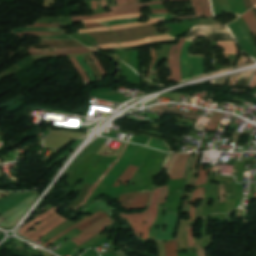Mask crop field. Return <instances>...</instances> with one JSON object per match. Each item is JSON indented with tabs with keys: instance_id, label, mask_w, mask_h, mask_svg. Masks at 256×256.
Returning a JSON list of instances; mask_svg holds the SVG:
<instances>
[{
	"instance_id": "0fb4a251",
	"label": "crop field",
	"mask_w": 256,
	"mask_h": 256,
	"mask_svg": "<svg viewBox=\"0 0 256 256\" xmlns=\"http://www.w3.org/2000/svg\"><path fill=\"white\" fill-rule=\"evenodd\" d=\"M189 247L193 246L192 227L188 228Z\"/></svg>"
},
{
	"instance_id": "1f1604b0",
	"label": "crop field",
	"mask_w": 256,
	"mask_h": 256,
	"mask_svg": "<svg viewBox=\"0 0 256 256\" xmlns=\"http://www.w3.org/2000/svg\"><path fill=\"white\" fill-rule=\"evenodd\" d=\"M153 1V0H152Z\"/></svg>"
},
{
	"instance_id": "25e5ab78",
	"label": "crop field",
	"mask_w": 256,
	"mask_h": 256,
	"mask_svg": "<svg viewBox=\"0 0 256 256\" xmlns=\"http://www.w3.org/2000/svg\"><path fill=\"white\" fill-rule=\"evenodd\" d=\"M59 23L54 24H34L33 26H26V27H58Z\"/></svg>"
},
{
	"instance_id": "120bbe31",
	"label": "crop field",
	"mask_w": 256,
	"mask_h": 256,
	"mask_svg": "<svg viewBox=\"0 0 256 256\" xmlns=\"http://www.w3.org/2000/svg\"><path fill=\"white\" fill-rule=\"evenodd\" d=\"M70 60L73 63V65L75 66V68L77 69V71L79 72V74L81 75L82 81H83L84 85L90 83L88 76L83 71L81 66L78 64V62L76 61L75 57H71Z\"/></svg>"
},
{
	"instance_id": "dafd665d",
	"label": "crop field",
	"mask_w": 256,
	"mask_h": 256,
	"mask_svg": "<svg viewBox=\"0 0 256 256\" xmlns=\"http://www.w3.org/2000/svg\"><path fill=\"white\" fill-rule=\"evenodd\" d=\"M59 216L58 213H55L53 215H51L49 218L45 219L44 221H42L39 225H35V231H28L26 232L23 236L25 237H30L32 236L33 234H35L37 231H39L41 228H43L44 226L48 225L49 223L53 222L55 219H57Z\"/></svg>"
},
{
	"instance_id": "eef30255",
	"label": "crop field",
	"mask_w": 256,
	"mask_h": 256,
	"mask_svg": "<svg viewBox=\"0 0 256 256\" xmlns=\"http://www.w3.org/2000/svg\"><path fill=\"white\" fill-rule=\"evenodd\" d=\"M195 198L204 199V187L196 189L194 194H193L192 204L190 206L189 221H194L195 208L192 207V205H193V202H194Z\"/></svg>"
},
{
	"instance_id": "733c2abd",
	"label": "crop field",
	"mask_w": 256,
	"mask_h": 256,
	"mask_svg": "<svg viewBox=\"0 0 256 256\" xmlns=\"http://www.w3.org/2000/svg\"><path fill=\"white\" fill-rule=\"evenodd\" d=\"M136 170L137 167L129 165L126 171L120 175V177L116 180L113 186H119L121 182L127 185Z\"/></svg>"
},
{
	"instance_id": "73cf0c24",
	"label": "crop field",
	"mask_w": 256,
	"mask_h": 256,
	"mask_svg": "<svg viewBox=\"0 0 256 256\" xmlns=\"http://www.w3.org/2000/svg\"><path fill=\"white\" fill-rule=\"evenodd\" d=\"M242 17H243V19L245 20V22L247 23V25L249 26V28L251 29L254 38H256V31H255V29L253 28L252 24H251L250 21L247 19V17L245 16V14H244Z\"/></svg>"
},
{
	"instance_id": "b54c1fbb",
	"label": "crop field",
	"mask_w": 256,
	"mask_h": 256,
	"mask_svg": "<svg viewBox=\"0 0 256 256\" xmlns=\"http://www.w3.org/2000/svg\"><path fill=\"white\" fill-rule=\"evenodd\" d=\"M91 59H93L96 67L99 69V71L101 72L102 76L106 75L105 70L103 69L101 63L98 61V59L95 57V55H90Z\"/></svg>"
},
{
	"instance_id": "7b73153f",
	"label": "crop field",
	"mask_w": 256,
	"mask_h": 256,
	"mask_svg": "<svg viewBox=\"0 0 256 256\" xmlns=\"http://www.w3.org/2000/svg\"><path fill=\"white\" fill-rule=\"evenodd\" d=\"M243 1H244V5H245L246 10L249 9L250 7H252V5L250 3V0H243Z\"/></svg>"
},
{
	"instance_id": "412701ff",
	"label": "crop field",
	"mask_w": 256,
	"mask_h": 256,
	"mask_svg": "<svg viewBox=\"0 0 256 256\" xmlns=\"http://www.w3.org/2000/svg\"><path fill=\"white\" fill-rule=\"evenodd\" d=\"M110 223H112V221L110 220L109 217H107V218L103 219L102 221H100L99 223L91 226L90 228H88L87 230H85L84 232H82L81 234L76 236L75 238H73L71 241L74 244L79 246V245L83 244L84 242H86L87 240H89L90 238H92L93 236L100 233L101 231L105 230L104 227H106Z\"/></svg>"
},
{
	"instance_id": "c39391a2",
	"label": "crop field",
	"mask_w": 256,
	"mask_h": 256,
	"mask_svg": "<svg viewBox=\"0 0 256 256\" xmlns=\"http://www.w3.org/2000/svg\"><path fill=\"white\" fill-rule=\"evenodd\" d=\"M101 5H102V8L106 7L105 0H101Z\"/></svg>"
},
{
	"instance_id": "8a807250",
	"label": "crop field",
	"mask_w": 256,
	"mask_h": 256,
	"mask_svg": "<svg viewBox=\"0 0 256 256\" xmlns=\"http://www.w3.org/2000/svg\"><path fill=\"white\" fill-rule=\"evenodd\" d=\"M227 26L231 30L241 51L256 59L254 50H253V46L249 40V37L246 34L245 30L242 28V26L238 23V21L236 20V21L228 24Z\"/></svg>"
},
{
	"instance_id": "db79e9e6",
	"label": "crop field",
	"mask_w": 256,
	"mask_h": 256,
	"mask_svg": "<svg viewBox=\"0 0 256 256\" xmlns=\"http://www.w3.org/2000/svg\"><path fill=\"white\" fill-rule=\"evenodd\" d=\"M149 12L150 13H167L166 9L149 10Z\"/></svg>"
},
{
	"instance_id": "e1d0b9f6",
	"label": "crop field",
	"mask_w": 256,
	"mask_h": 256,
	"mask_svg": "<svg viewBox=\"0 0 256 256\" xmlns=\"http://www.w3.org/2000/svg\"><path fill=\"white\" fill-rule=\"evenodd\" d=\"M92 10L97 9L95 1H91Z\"/></svg>"
},
{
	"instance_id": "e52e79f7",
	"label": "crop field",
	"mask_w": 256,
	"mask_h": 256,
	"mask_svg": "<svg viewBox=\"0 0 256 256\" xmlns=\"http://www.w3.org/2000/svg\"><path fill=\"white\" fill-rule=\"evenodd\" d=\"M160 191H161V187L155 189L151 195L150 205H149V208H150L149 218L147 220V223L143 227L142 236H141V238H143V239H148L149 228L151 227V225L153 224V222L156 218L157 201H158V198L160 195Z\"/></svg>"
},
{
	"instance_id": "00972430",
	"label": "crop field",
	"mask_w": 256,
	"mask_h": 256,
	"mask_svg": "<svg viewBox=\"0 0 256 256\" xmlns=\"http://www.w3.org/2000/svg\"><path fill=\"white\" fill-rule=\"evenodd\" d=\"M29 206H27L26 208L17 212L16 214L12 215L11 217L5 219L2 223H0V227H11V226H13L16 223V221L22 216V214L29 208Z\"/></svg>"
},
{
	"instance_id": "dd49c442",
	"label": "crop field",
	"mask_w": 256,
	"mask_h": 256,
	"mask_svg": "<svg viewBox=\"0 0 256 256\" xmlns=\"http://www.w3.org/2000/svg\"><path fill=\"white\" fill-rule=\"evenodd\" d=\"M45 49V51H41ZM51 48H27L29 54H40V55H52V54H81L87 52H95L91 51L86 47H78V48H55V51H49Z\"/></svg>"
},
{
	"instance_id": "03da06ac",
	"label": "crop field",
	"mask_w": 256,
	"mask_h": 256,
	"mask_svg": "<svg viewBox=\"0 0 256 256\" xmlns=\"http://www.w3.org/2000/svg\"><path fill=\"white\" fill-rule=\"evenodd\" d=\"M137 20H138V18H136V19H129V20H114V21L102 22V24H104L106 26H110V25L120 24V23L135 22Z\"/></svg>"
},
{
	"instance_id": "730fd06b",
	"label": "crop field",
	"mask_w": 256,
	"mask_h": 256,
	"mask_svg": "<svg viewBox=\"0 0 256 256\" xmlns=\"http://www.w3.org/2000/svg\"><path fill=\"white\" fill-rule=\"evenodd\" d=\"M145 146L172 152V150L167 146V144L164 141H161L158 139L149 138V140L146 142Z\"/></svg>"
},
{
	"instance_id": "92a150f3",
	"label": "crop field",
	"mask_w": 256,
	"mask_h": 256,
	"mask_svg": "<svg viewBox=\"0 0 256 256\" xmlns=\"http://www.w3.org/2000/svg\"><path fill=\"white\" fill-rule=\"evenodd\" d=\"M217 46L223 47L224 54H237L239 49L234 41L216 42Z\"/></svg>"
},
{
	"instance_id": "425ffa30",
	"label": "crop field",
	"mask_w": 256,
	"mask_h": 256,
	"mask_svg": "<svg viewBox=\"0 0 256 256\" xmlns=\"http://www.w3.org/2000/svg\"><path fill=\"white\" fill-rule=\"evenodd\" d=\"M155 58H156L155 50H154V48H151V62H150V67H149V72H148L147 78H148L149 75H150V71H151V68H152V65H153V62H154ZM155 61H156V60H155ZM154 63H155V62H154Z\"/></svg>"
},
{
	"instance_id": "d23c7cc5",
	"label": "crop field",
	"mask_w": 256,
	"mask_h": 256,
	"mask_svg": "<svg viewBox=\"0 0 256 256\" xmlns=\"http://www.w3.org/2000/svg\"><path fill=\"white\" fill-rule=\"evenodd\" d=\"M248 19L251 21V23L253 24L254 28L256 29V18L254 17V15L252 14L251 10L245 12Z\"/></svg>"
},
{
	"instance_id": "f0312440",
	"label": "crop field",
	"mask_w": 256,
	"mask_h": 256,
	"mask_svg": "<svg viewBox=\"0 0 256 256\" xmlns=\"http://www.w3.org/2000/svg\"><path fill=\"white\" fill-rule=\"evenodd\" d=\"M254 8L256 9V6Z\"/></svg>"
},
{
	"instance_id": "0765c3eb",
	"label": "crop field",
	"mask_w": 256,
	"mask_h": 256,
	"mask_svg": "<svg viewBox=\"0 0 256 256\" xmlns=\"http://www.w3.org/2000/svg\"><path fill=\"white\" fill-rule=\"evenodd\" d=\"M206 249L198 248L197 255L198 256H205Z\"/></svg>"
},
{
	"instance_id": "0bd39190",
	"label": "crop field",
	"mask_w": 256,
	"mask_h": 256,
	"mask_svg": "<svg viewBox=\"0 0 256 256\" xmlns=\"http://www.w3.org/2000/svg\"><path fill=\"white\" fill-rule=\"evenodd\" d=\"M76 59L79 62V64L82 66L84 71L87 73V75L89 76L91 81L94 82L95 78H94L93 74L91 73V71L89 70L88 66L86 65L85 61L83 60L82 56L76 57Z\"/></svg>"
},
{
	"instance_id": "d8731c3e",
	"label": "crop field",
	"mask_w": 256,
	"mask_h": 256,
	"mask_svg": "<svg viewBox=\"0 0 256 256\" xmlns=\"http://www.w3.org/2000/svg\"><path fill=\"white\" fill-rule=\"evenodd\" d=\"M35 191L26 193H11L0 199V214L17 205L27 197L34 194Z\"/></svg>"
},
{
	"instance_id": "f4fd0767",
	"label": "crop field",
	"mask_w": 256,
	"mask_h": 256,
	"mask_svg": "<svg viewBox=\"0 0 256 256\" xmlns=\"http://www.w3.org/2000/svg\"><path fill=\"white\" fill-rule=\"evenodd\" d=\"M122 219H125L128 225L135 232V237L140 239V234L142 230V225L148 217V210L144 213L138 214H123L119 213ZM144 226V225H143Z\"/></svg>"
},
{
	"instance_id": "cbeb9de0",
	"label": "crop field",
	"mask_w": 256,
	"mask_h": 256,
	"mask_svg": "<svg viewBox=\"0 0 256 256\" xmlns=\"http://www.w3.org/2000/svg\"><path fill=\"white\" fill-rule=\"evenodd\" d=\"M192 79L203 75L204 56H190Z\"/></svg>"
},
{
	"instance_id": "7312dd0a",
	"label": "crop field",
	"mask_w": 256,
	"mask_h": 256,
	"mask_svg": "<svg viewBox=\"0 0 256 256\" xmlns=\"http://www.w3.org/2000/svg\"><path fill=\"white\" fill-rule=\"evenodd\" d=\"M136 3H138V0H135Z\"/></svg>"
},
{
	"instance_id": "89e229c0",
	"label": "crop field",
	"mask_w": 256,
	"mask_h": 256,
	"mask_svg": "<svg viewBox=\"0 0 256 256\" xmlns=\"http://www.w3.org/2000/svg\"><path fill=\"white\" fill-rule=\"evenodd\" d=\"M108 27L98 28V29H89V30H79L80 33L92 32V31H109Z\"/></svg>"
},
{
	"instance_id": "ac0d7876",
	"label": "crop field",
	"mask_w": 256,
	"mask_h": 256,
	"mask_svg": "<svg viewBox=\"0 0 256 256\" xmlns=\"http://www.w3.org/2000/svg\"><path fill=\"white\" fill-rule=\"evenodd\" d=\"M183 38H179L178 46L172 45L169 51L170 81H181L179 53L183 46Z\"/></svg>"
},
{
	"instance_id": "34b2d1b8",
	"label": "crop field",
	"mask_w": 256,
	"mask_h": 256,
	"mask_svg": "<svg viewBox=\"0 0 256 256\" xmlns=\"http://www.w3.org/2000/svg\"><path fill=\"white\" fill-rule=\"evenodd\" d=\"M179 215L175 214H165L156 233L155 239H160V240H169L173 239L177 220H178ZM167 225L165 233L162 231V226Z\"/></svg>"
},
{
	"instance_id": "180be81f",
	"label": "crop field",
	"mask_w": 256,
	"mask_h": 256,
	"mask_svg": "<svg viewBox=\"0 0 256 256\" xmlns=\"http://www.w3.org/2000/svg\"><path fill=\"white\" fill-rule=\"evenodd\" d=\"M254 74H256V70H255Z\"/></svg>"
},
{
	"instance_id": "0f1d7ab4",
	"label": "crop field",
	"mask_w": 256,
	"mask_h": 256,
	"mask_svg": "<svg viewBox=\"0 0 256 256\" xmlns=\"http://www.w3.org/2000/svg\"><path fill=\"white\" fill-rule=\"evenodd\" d=\"M111 3H112V6H113V5H116V4H115V0H111ZM106 4H107V7L111 6L110 0H106Z\"/></svg>"
},
{
	"instance_id": "78b8030e",
	"label": "crop field",
	"mask_w": 256,
	"mask_h": 256,
	"mask_svg": "<svg viewBox=\"0 0 256 256\" xmlns=\"http://www.w3.org/2000/svg\"><path fill=\"white\" fill-rule=\"evenodd\" d=\"M251 87H256V75L253 76V78H252V81H251V84H250V88Z\"/></svg>"
},
{
	"instance_id": "9d1cf04e",
	"label": "crop field",
	"mask_w": 256,
	"mask_h": 256,
	"mask_svg": "<svg viewBox=\"0 0 256 256\" xmlns=\"http://www.w3.org/2000/svg\"><path fill=\"white\" fill-rule=\"evenodd\" d=\"M191 158H192V154H190V156H189V160H188V163L186 165V172H185V176H184V180L183 181H186V179H187V171H188V168L190 166Z\"/></svg>"
},
{
	"instance_id": "3316defc",
	"label": "crop field",
	"mask_w": 256,
	"mask_h": 256,
	"mask_svg": "<svg viewBox=\"0 0 256 256\" xmlns=\"http://www.w3.org/2000/svg\"><path fill=\"white\" fill-rule=\"evenodd\" d=\"M173 37H171L169 34L166 35H160V36H155V37H149V38H145L143 40H139V41H135V42H125V43H119L120 46H132V45H137V44H141V43H148V42H153V41H157V40H164V39H171ZM113 47H119L118 44H107V45H100V46H91V49H107V48H113Z\"/></svg>"
},
{
	"instance_id": "d9b57169",
	"label": "crop field",
	"mask_w": 256,
	"mask_h": 256,
	"mask_svg": "<svg viewBox=\"0 0 256 256\" xmlns=\"http://www.w3.org/2000/svg\"><path fill=\"white\" fill-rule=\"evenodd\" d=\"M66 219H64L62 216L60 218H58L56 221H54L53 223L49 224L48 226L44 227L43 229H41L39 232H37L35 235H33L32 237L28 238L32 241H37L38 239H40L42 236H44L46 233H48L49 231H51L53 228H55L56 226H58L59 224H61L62 222H64Z\"/></svg>"
},
{
	"instance_id": "c3a83c6f",
	"label": "crop field",
	"mask_w": 256,
	"mask_h": 256,
	"mask_svg": "<svg viewBox=\"0 0 256 256\" xmlns=\"http://www.w3.org/2000/svg\"><path fill=\"white\" fill-rule=\"evenodd\" d=\"M251 2H252V5L256 4V0H251Z\"/></svg>"
},
{
	"instance_id": "447ae74e",
	"label": "crop field",
	"mask_w": 256,
	"mask_h": 256,
	"mask_svg": "<svg viewBox=\"0 0 256 256\" xmlns=\"http://www.w3.org/2000/svg\"><path fill=\"white\" fill-rule=\"evenodd\" d=\"M102 25L98 23L86 24L84 28H94V27H101Z\"/></svg>"
},
{
	"instance_id": "5a996713",
	"label": "crop field",
	"mask_w": 256,
	"mask_h": 256,
	"mask_svg": "<svg viewBox=\"0 0 256 256\" xmlns=\"http://www.w3.org/2000/svg\"><path fill=\"white\" fill-rule=\"evenodd\" d=\"M190 40H187L182 48L181 54H180V61H181V79L182 81L190 79L191 74V66L190 61L188 57L190 45Z\"/></svg>"
},
{
	"instance_id": "214f88e0",
	"label": "crop field",
	"mask_w": 256,
	"mask_h": 256,
	"mask_svg": "<svg viewBox=\"0 0 256 256\" xmlns=\"http://www.w3.org/2000/svg\"><path fill=\"white\" fill-rule=\"evenodd\" d=\"M128 145V143H126V145L124 146L123 150L121 151L119 157L117 158V160L97 179V181L93 184L91 190L88 192V194L86 195L84 201L75 209L76 211L79 209L80 206H82L84 204V202L88 199V197L91 195V193L93 192V190L96 188V186L100 183V181L104 178V176L109 172V170L114 166V164L120 159L124 149L126 148V146Z\"/></svg>"
},
{
	"instance_id": "fb207236",
	"label": "crop field",
	"mask_w": 256,
	"mask_h": 256,
	"mask_svg": "<svg viewBox=\"0 0 256 256\" xmlns=\"http://www.w3.org/2000/svg\"><path fill=\"white\" fill-rule=\"evenodd\" d=\"M171 1H188V0H171Z\"/></svg>"
},
{
	"instance_id": "c035e120",
	"label": "crop field",
	"mask_w": 256,
	"mask_h": 256,
	"mask_svg": "<svg viewBox=\"0 0 256 256\" xmlns=\"http://www.w3.org/2000/svg\"><path fill=\"white\" fill-rule=\"evenodd\" d=\"M22 35H65L63 32H23Z\"/></svg>"
},
{
	"instance_id": "1d79db26",
	"label": "crop field",
	"mask_w": 256,
	"mask_h": 256,
	"mask_svg": "<svg viewBox=\"0 0 256 256\" xmlns=\"http://www.w3.org/2000/svg\"><path fill=\"white\" fill-rule=\"evenodd\" d=\"M169 14H150L149 18L169 17Z\"/></svg>"
},
{
	"instance_id": "5866460e",
	"label": "crop field",
	"mask_w": 256,
	"mask_h": 256,
	"mask_svg": "<svg viewBox=\"0 0 256 256\" xmlns=\"http://www.w3.org/2000/svg\"><path fill=\"white\" fill-rule=\"evenodd\" d=\"M83 138L81 139H78L76 140L60 157H58L54 162H52L46 169H50L52 166H54L59 160H61L63 157H65L67 154H69L73 148L82 140Z\"/></svg>"
},
{
	"instance_id": "e1f06a70",
	"label": "crop field",
	"mask_w": 256,
	"mask_h": 256,
	"mask_svg": "<svg viewBox=\"0 0 256 256\" xmlns=\"http://www.w3.org/2000/svg\"><path fill=\"white\" fill-rule=\"evenodd\" d=\"M208 170L209 169L204 170L203 165H199V177L196 185L204 184L206 182Z\"/></svg>"
},
{
	"instance_id": "4177f3b9",
	"label": "crop field",
	"mask_w": 256,
	"mask_h": 256,
	"mask_svg": "<svg viewBox=\"0 0 256 256\" xmlns=\"http://www.w3.org/2000/svg\"><path fill=\"white\" fill-rule=\"evenodd\" d=\"M194 15L179 16L178 18L186 17H204L200 0H190Z\"/></svg>"
},
{
	"instance_id": "d3111659",
	"label": "crop field",
	"mask_w": 256,
	"mask_h": 256,
	"mask_svg": "<svg viewBox=\"0 0 256 256\" xmlns=\"http://www.w3.org/2000/svg\"><path fill=\"white\" fill-rule=\"evenodd\" d=\"M100 211H101V210H100ZM100 211H98L97 213H95V214L92 215V216L87 217V218L84 219L83 221H81V222H79V223H77V224H75V225L69 227L68 229H66L65 231H63L62 233H60L59 235H57L56 237H54V238H52L51 240H49V241H47L46 243H44L42 246H44V247L47 246L48 244H50V243L53 242L54 240L60 238L61 236H63V235L66 234L67 232H69V231H71L72 229H74L76 226H78V225L84 223L85 221L89 220L90 218L96 216L97 214L102 213V212H100Z\"/></svg>"
},
{
	"instance_id": "028f5c9d",
	"label": "crop field",
	"mask_w": 256,
	"mask_h": 256,
	"mask_svg": "<svg viewBox=\"0 0 256 256\" xmlns=\"http://www.w3.org/2000/svg\"><path fill=\"white\" fill-rule=\"evenodd\" d=\"M151 4H163V3H162V1H155V2H149V3L143 4V5H124V6L112 7V8H109V9L111 11H114V10H119V9L143 7V6H147V5H151Z\"/></svg>"
},
{
	"instance_id": "ae1a2a85",
	"label": "crop field",
	"mask_w": 256,
	"mask_h": 256,
	"mask_svg": "<svg viewBox=\"0 0 256 256\" xmlns=\"http://www.w3.org/2000/svg\"><path fill=\"white\" fill-rule=\"evenodd\" d=\"M135 194H136V192L122 194L121 197L119 198V200L117 199L118 200L117 202L123 208H125L127 210V208L129 207L130 203L132 202Z\"/></svg>"
},
{
	"instance_id": "c21b1889",
	"label": "crop field",
	"mask_w": 256,
	"mask_h": 256,
	"mask_svg": "<svg viewBox=\"0 0 256 256\" xmlns=\"http://www.w3.org/2000/svg\"><path fill=\"white\" fill-rule=\"evenodd\" d=\"M205 17H211L209 0H201Z\"/></svg>"
},
{
	"instance_id": "ade564c9",
	"label": "crop field",
	"mask_w": 256,
	"mask_h": 256,
	"mask_svg": "<svg viewBox=\"0 0 256 256\" xmlns=\"http://www.w3.org/2000/svg\"><path fill=\"white\" fill-rule=\"evenodd\" d=\"M126 3L129 4V3H134V0H126Z\"/></svg>"
},
{
	"instance_id": "d32e631a",
	"label": "crop field",
	"mask_w": 256,
	"mask_h": 256,
	"mask_svg": "<svg viewBox=\"0 0 256 256\" xmlns=\"http://www.w3.org/2000/svg\"><path fill=\"white\" fill-rule=\"evenodd\" d=\"M105 217H107V215L104 214V213H102V214H100V215L94 217L93 219L87 221L86 223H84V224L78 226L77 228L82 231V230L86 229L87 227H89V226H91V225H93V224L99 222L100 220H102V219L105 218Z\"/></svg>"
},
{
	"instance_id": "dbb93151",
	"label": "crop field",
	"mask_w": 256,
	"mask_h": 256,
	"mask_svg": "<svg viewBox=\"0 0 256 256\" xmlns=\"http://www.w3.org/2000/svg\"><path fill=\"white\" fill-rule=\"evenodd\" d=\"M177 156V154H173V156L171 157V159L169 160V162L167 163L165 169L167 170V175H169V169L175 159V157Z\"/></svg>"
},
{
	"instance_id": "d1516ede",
	"label": "crop field",
	"mask_w": 256,
	"mask_h": 256,
	"mask_svg": "<svg viewBox=\"0 0 256 256\" xmlns=\"http://www.w3.org/2000/svg\"><path fill=\"white\" fill-rule=\"evenodd\" d=\"M63 205H65V204H63ZM63 205H57V206L49 209L48 211L44 212L43 214L39 215L38 217L32 219L31 221H29L27 224H25L24 226H22L19 229L18 234H20V235L24 234L26 231H28L30 228H32L36 223H38V222L44 220L45 218L49 217L51 214L56 212L59 207H61Z\"/></svg>"
},
{
	"instance_id": "1d83c4d3",
	"label": "crop field",
	"mask_w": 256,
	"mask_h": 256,
	"mask_svg": "<svg viewBox=\"0 0 256 256\" xmlns=\"http://www.w3.org/2000/svg\"><path fill=\"white\" fill-rule=\"evenodd\" d=\"M141 13L138 14H131V15H124V16H116V17H108V18H102V19H96V20H88L87 23L92 22H101V21H107V20H113V19H128V18H136L140 17ZM85 22V21H84Z\"/></svg>"
},
{
	"instance_id": "5142ce71",
	"label": "crop field",
	"mask_w": 256,
	"mask_h": 256,
	"mask_svg": "<svg viewBox=\"0 0 256 256\" xmlns=\"http://www.w3.org/2000/svg\"><path fill=\"white\" fill-rule=\"evenodd\" d=\"M150 192L151 191H147V192H138L135 199L133 200V202L131 203L130 207L128 208V210H133V209H144L149 196H150Z\"/></svg>"
},
{
	"instance_id": "1f2cbd36",
	"label": "crop field",
	"mask_w": 256,
	"mask_h": 256,
	"mask_svg": "<svg viewBox=\"0 0 256 256\" xmlns=\"http://www.w3.org/2000/svg\"><path fill=\"white\" fill-rule=\"evenodd\" d=\"M218 193H219V200H220V203H221V202H224L225 199H224V194H223V185H219V187H218Z\"/></svg>"
},
{
	"instance_id": "b80d0937",
	"label": "crop field",
	"mask_w": 256,
	"mask_h": 256,
	"mask_svg": "<svg viewBox=\"0 0 256 256\" xmlns=\"http://www.w3.org/2000/svg\"><path fill=\"white\" fill-rule=\"evenodd\" d=\"M16 31H61L59 28H20L14 29L12 32Z\"/></svg>"
},
{
	"instance_id": "bc2a9ffb",
	"label": "crop field",
	"mask_w": 256,
	"mask_h": 256,
	"mask_svg": "<svg viewBox=\"0 0 256 256\" xmlns=\"http://www.w3.org/2000/svg\"><path fill=\"white\" fill-rule=\"evenodd\" d=\"M38 192L35 193L33 196H31L29 199H27L26 201L20 203L19 205L13 207L12 209H10L9 211L5 212L4 214H2L4 217H9L12 214L16 213L17 211L21 210L22 208L26 207L27 205H29L30 203L34 202L35 198L37 197Z\"/></svg>"
},
{
	"instance_id": "5d738f31",
	"label": "crop field",
	"mask_w": 256,
	"mask_h": 256,
	"mask_svg": "<svg viewBox=\"0 0 256 256\" xmlns=\"http://www.w3.org/2000/svg\"><path fill=\"white\" fill-rule=\"evenodd\" d=\"M167 192H168V188H167V186H164V187L162 188V192H161L159 204H160V203H164V201H165V199H166V197H167Z\"/></svg>"
},
{
	"instance_id": "a9b5d70f",
	"label": "crop field",
	"mask_w": 256,
	"mask_h": 256,
	"mask_svg": "<svg viewBox=\"0 0 256 256\" xmlns=\"http://www.w3.org/2000/svg\"><path fill=\"white\" fill-rule=\"evenodd\" d=\"M223 113L214 112L212 118L210 119L209 123L207 124L206 128L204 129V132L211 131L214 132Z\"/></svg>"
},
{
	"instance_id": "750c4746",
	"label": "crop field",
	"mask_w": 256,
	"mask_h": 256,
	"mask_svg": "<svg viewBox=\"0 0 256 256\" xmlns=\"http://www.w3.org/2000/svg\"><path fill=\"white\" fill-rule=\"evenodd\" d=\"M160 21H164V19L160 18V19L149 20V22L145 24L160 22ZM141 25H144V24H140V23L120 24V25L110 26L109 28H111L112 30H117V29L130 28V27L141 26Z\"/></svg>"
},
{
	"instance_id": "d14b1444",
	"label": "crop field",
	"mask_w": 256,
	"mask_h": 256,
	"mask_svg": "<svg viewBox=\"0 0 256 256\" xmlns=\"http://www.w3.org/2000/svg\"><path fill=\"white\" fill-rule=\"evenodd\" d=\"M187 14H193V13L182 12V13H178V14H177V15H175V16H178V15H187Z\"/></svg>"
},
{
	"instance_id": "ae633e8c",
	"label": "crop field",
	"mask_w": 256,
	"mask_h": 256,
	"mask_svg": "<svg viewBox=\"0 0 256 256\" xmlns=\"http://www.w3.org/2000/svg\"><path fill=\"white\" fill-rule=\"evenodd\" d=\"M117 5L125 4L124 0H116Z\"/></svg>"
},
{
	"instance_id": "4a817a6b",
	"label": "crop field",
	"mask_w": 256,
	"mask_h": 256,
	"mask_svg": "<svg viewBox=\"0 0 256 256\" xmlns=\"http://www.w3.org/2000/svg\"><path fill=\"white\" fill-rule=\"evenodd\" d=\"M160 109H168V110H172V111H175V112L184 113V114H188V115H192V116L199 117L198 115H193V114H189V113H186V112L177 111V110H174V109H172V108H167V105H157V106H153L150 110H152V111H157V112L169 113V114H172V115H178V116H180V117L187 118V119H191V120H195V121H197V119H198V118H193V117H189V116H186V115H181V114H177V113H172V112L163 111V110H160Z\"/></svg>"
},
{
	"instance_id": "22f410ed",
	"label": "crop field",
	"mask_w": 256,
	"mask_h": 256,
	"mask_svg": "<svg viewBox=\"0 0 256 256\" xmlns=\"http://www.w3.org/2000/svg\"><path fill=\"white\" fill-rule=\"evenodd\" d=\"M140 12V8L137 9H127V10H119L94 16H78V17H72L73 21L76 20H82V19H95V18H101V17H107V16H115V15H124V14H131V13H137Z\"/></svg>"
},
{
	"instance_id": "c5b07064",
	"label": "crop field",
	"mask_w": 256,
	"mask_h": 256,
	"mask_svg": "<svg viewBox=\"0 0 256 256\" xmlns=\"http://www.w3.org/2000/svg\"><path fill=\"white\" fill-rule=\"evenodd\" d=\"M252 12L254 13L255 17H256V10L254 8L251 9Z\"/></svg>"
},
{
	"instance_id": "28ad6ade",
	"label": "crop field",
	"mask_w": 256,
	"mask_h": 256,
	"mask_svg": "<svg viewBox=\"0 0 256 256\" xmlns=\"http://www.w3.org/2000/svg\"><path fill=\"white\" fill-rule=\"evenodd\" d=\"M189 154H179L177 159L175 160L171 173L170 179H179L184 176V168L188 159Z\"/></svg>"
},
{
	"instance_id": "bd1437ed",
	"label": "crop field",
	"mask_w": 256,
	"mask_h": 256,
	"mask_svg": "<svg viewBox=\"0 0 256 256\" xmlns=\"http://www.w3.org/2000/svg\"><path fill=\"white\" fill-rule=\"evenodd\" d=\"M166 256H177V245L174 240L165 243Z\"/></svg>"
}]
</instances>
